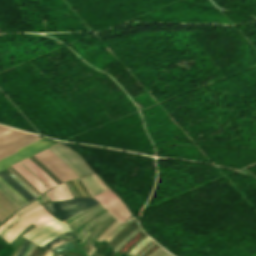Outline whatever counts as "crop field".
<instances>
[{
    "label": "crop field",
    "instance_id": "obj_10",
    "mask_svg": "<svg viewBox=\"0 0 256 256\" xmlns=\"http://www.w3.org/2000/svg\"><path fill=\"white\" fill-rule=\"evenodd\" d=\"M108 210L121 222L130 218L131 215V212L122 201Z\"/></svg>",
    "mask_w": 256,
    "mask_h": 256
},
{
    "label": "crop field",
    "instance_id": "obj_19",
    "mask_svg": "<svg viewBox=\"0 0 256 256\" xmlns=\"http://www.w3.org/2000/svg\"><path fill=\"white\" fill-rule=\"evenodd\" d=\"M39 203H40L39 200H37V201H35V202L31 203V204H28V205L22 207L21 209H19V210H18L17 212H15L14 214H15V215H20L21 213L25 212L26 210L30 209L31 207H33V206H35V205H37V204H39Z\"/></svg>",
    "mask_w": 256,
    "mask_h": 256
},
{
    "label": "crop field",
    "instance_id": "obj_48",
    "mask_svg": "<svg viewBox=\"0 0 256 256\" xmlns=\"http://www.w3.org/2000/svg\"><path fill=\"white\" fill-rule=\"evenodd\" d=\"M49 252V251H48ZM48 254V253H47Z\"/></svg>",
    "mask_w": 256,
    "mask_h": 256
},
{
    "label": "crop field",
    "instance_id": "obj_45",
    "mask_svg": "<svg viewBox=\"0 0 256 256\" xmlns=\"http://www.w3.org/2000/svg\"><path fill=\"white\" fill-rule=\"evenodd\" d=\"M87 234H88V232H87ZM87 234H86V235H87ZM86 235H85V236H86ZM84 238H85V237H84ZM84 238H83V240H84ZM83 240H82V242H83ZM82 242H81V244H82Z\"/></svg>",
    "mask_w": 256,
    "mask_h": 256
},
{
    "label": "crop field",
    "instance_id": "obj_23",
    "mask_svg": "<svg viewBox=\"0 0 256 256\" xmlns=\"http://www.w3.org/2000/svg\"><path fill=\"white\" fill-rule=\"evenodd\" d=\"M16 236L17 234L8 231L3 237L10 243Z\"/></svg>",
    "mask_w": 256,
    "mask_h": 256
},
{
    "label": "crop field",
    "instance_id": "obj_8",
    "mask_svg": "<svg viewBox=\"0 0 256 256\" xmlns=\"http://www.w3.org/2000/svg\"><path fill=\"white\" fill-rule=\"evenodd\" d=\"M0 177L2 179H4L8 184H10L15 190H17L28 201L35 198L32 194H30L24 187H22L13 177H11L4 170H2L0 172Z\"/></svg>",
    "mask_w": 256,
    "mask_h": 256
},
{
    "label": "crop field",
    "instance_id": "obj_26",
    "mask_svg": "<svg viewBox=\"0 0 256 256\" xmlns=\"http://www.w3.org/2000/svg\"><path fill=\"white\" fill-rule=\"evenodd\" d=\"M61 187L63 188V190H64V192H65V194H66L68 199L69 198H73L72 195L70 194L69 190L67 189L65 183L61 184Z\"/></svg>",
    "mask_w": 256,
    "mask_h": 256
},
{
    "label": "crop field",
    "instance_id": "obj_21",
    "mask_svg": "<svg viewBox=\"0 0 256 256\" xmlns=\"http://www.w3.org/2000/svg\"><path fill=\"white\" fill-rule=\"evenodd\" d=\"M114 217H110L108 220H106L104 223H102L97 229H95L92 233V238L96 236V234L108 223L110 222Z\"/></svg>",
    "mask_w": 256,
    "mask_h": 256
},
{
    "label": "crop field",
    "instance_id": "obj_34",
    "mask_svg": "<svg viewBox=\"0 0 256 256\" xmlns=\"http://www.w3.org/2000/svg\"><path fill=\"white\" fill-rule=\"evenodd\" d=\"M32 246H33V243L30 244V246L27 248V250L24 252L22 256H25Z\"/></svg>",
    "mask_w": 256,
    "mask_h": 256
},
{
    "label": "crop field",
    "instance_id": "obj_6",
    "mask_svg": "<svg viewBox=\"0 0 256 256\" xmlns=\"http://www.w3.org/2000/svg\"><path fill=\"white\" fill-rule=\"evenodd\" d=\"M20 217L23 219L18 222L10 231L19 234L22 232L28 225L35 224L37 226H42L44 223L54 218L51 214H49L42 205L34 207Z\"/></svg>",
    "mask_w": 256,
    "mask_h": 256
},
{
    "label": "crop field",
    "instance_id": "obj_37",
    "mask_svg": "<svg viewBox=\"0 0 256 256\" xmlns=\"http://www.w3.org/2000/svg\"><path fill=\"white\" fill-rule=\"evenodd\" d=\"M6 232H7V230L3 229V230L0 232V235L3 236Z\"/></svg>",
    "mask_w": 256,
    "mask_h": 256
},
{
    "label": "crop field",
    "instance_id": "obj_40",
    "mask_svg": "<svg viewBox=\"0 0 256 256\" xmlns=\"http://www.w3.org/2000/svg\"><path fill=\"white\" fill-rule=\"evenodd\" d=\"M116 221H117V220H116ZM116 221H115V222H116ZM115 222H114V223H115ZM114 223H113V224H114ZM113 224H112V225H113ZM112 225H111V226H112ZM111 226H110V227H111ZM110 227H109V228H110ZM109 228H108V229H109ZM108 229H107V230H108ZM107 230H106V231H107ZM106 231H105V232H106ZM105 232H104V233H105ZM104 233H103V234H104ZM103 234H102V235H103ZM102 235L98 238V240L102 237Z\"/></svg>",
    "mask_w": 256,
    "mask_h": 256
},
{
    "label": "crop field",
    "instance_id": "obj_2",
    "mask_svg": "<svg viewBox=\"0 0 256 256\" xmlns=\"http://www.w3.org/2000/svg\"><path fill=\"white\" fill-rule=\"evenodd\" d=\"M99 204L93 198H75L62 202H54L45 204L44 206L56 217L61 220H66L82 211H85Z\"/></svg>",
    "mask_w": 256,
    "mask_h": 256
},
{
    "label": "crop field",
    "instance_id": "obj_30",
    "mask_svg": "<svg viewBox=\"0 0 256 256\" xmlns=\"http://www.w3.org/2000/svg\"><path fill=\"white\" fill-rule=\"evenodd\" d=\"M41 201H42V203H45V202H49L50 200H49V198L46 196V194L45 195H43L42 197H41Z\"/></svg>",
    "mask_w": 256,
    "mask_h": 256
},
{
    "label": "crop field",
    "instance_id": "obj_22",
    "mask_svg": "<svg viewBox=\"0 0 256 256\" xmlns=\"http://www.w3.org/2000/svg\"><path fill=\"white\" fill-rule=\"evenodd\" d=\"M161 248V247H160ZM159 248V249H160ZM159 249H157V250H159ZM156 250V251H157ZM155 251V252H156ZM155 252H153L150 256H152ZM153 256H171V255H169L165 250H163L162 248L159 250V251H157Z\"/></svg>",
    "mask_w": 256,
    "mask_h": 256
},
{
    "label": "crop field",
    "instance_id": "obj_5",
    "mask_svg": "<svg viewBox=\"0 0 256 256\" xmlns=\"http://www.w3.org/2000/svg\"><path fill=\"white\" fill-rule=\"evenodd\" d=\"M33 156L49 168L62 182L78 177L57 156L47 149Z\"/></svg>",
    "mask_w": 256,
    "mask_h": 256
},
{
    "label": "crop field",
    "instance_id": "obj_17",
    "mask_svg": "<svg viewBox=\"0 0 256 256\" xmlns=\"http://www.w3.org/2000/svg\"><path fill=\"white\" fill-rule=\"evenodd\" d=\"M100 207H102V205L99 206V207H97V208H95L94 210H96V209H98V208H100ZM103 208H104V207H103ZM101 209H102V208H101ZM104 209H105V208H104ZM94 210H92V211H94ZM99 210H100V209H99ZM102 210H103V209H102ZM102 210H100V211L97 210L98 212L95 211V212H93V213H91L92 211H90L89 213H87V214L81 216L80 218H78V219H76V220H74V221H72V222H70V223H68V224H69L70 226H72V225H73L75 222H77L79 219H81V218H83V217L89 215L90 213H91V214H90L89 216H91V215H93L94 213L97 212L96 214H94V216H95V215H97L99 212H101ZM89 216H87V217H89ZM87 217H85V218H87ZM92 217H93V216H92ZM92 217H90V218H92ZM85 218H84V219H85ZM90 218H88V219H90ZM84 219H82V220H84ZM88 219H86L85 221H87ZM82 220H81V221H82ZM81 221H79V222H77L76 224H74L71 228L73 229V228H74L77 224H79ZM85 221H83V222H85ZM83 222H82V223H83ZM82 223H80L76 228H74L73 231H74L75 229H77Z\"/></svg>",
    "mask_w": 256,
    "mask_h": 256
},
{
    "label": "crop field",
    "instance_id": "obj_38",
    "mask_svg": "<svg viewBox=\"0 0 256 256\" xmlns=\"http://www.w3.org/2000/svg\"><path fill=\"white\" fill-rule=\"evenodd\" d=\"M34 247H35V244H34V246L32 247V249L29 251V253H28L26 256H29V255H30V253L32 252V250L34 249Z\"/></svg>",
    "mask_w": 256,
    "mask_h": 256
},
{
    "label": "crop field",
    "instance_id": "obj_18",
    "mask_svg": "<svg viewBox=\"0 0 256 256\" xmlns=\"http://www.w3.org/2000/svg\"><path fill=\"white\" fill-rule=\"evenodd\" d=\"M109 215H111V214L107 211V212H105L104 214H102V215H100L99 217H97L96 219H94L93 221H91L90 223H92V222H94V221H95L94 223H96V222H98V221L101 222V221H103L105 218H107ZM90 223H88V224H90ZM94 223H92L89 227H87L81 235H80V233H81V231H82L83 229L77 234L79 240H80V238L84 235L85 231H86L88 228H90ZM88 224H87V225H88ZM87 225H85V226H87ZM85 226H84V227H85Z\"/></svg>",
    "mask_w": 256,
    "mask_h": 256
},
{
    "label": "crop field",
    "instance_id": "obj_43",
    "mask_svg": "<svg viewBox=\"0 0 256 256\" xmlns=\"http://www.w3.org/2000/svg\"><path fill=\"white\" fill-rule=\"evenodd\" d=\"M51 253H52V252L50 251V253H49L47 256H50V255H51Z\"/></svg>",
    "mask_w": 256,
    "mask_h": 256
},
{
    "label": "crop field",
    "instance_id": "obj_4",
    "mask_svg": "<svg viewBox=\"0 0 256 256\" xmlns=\"http://www.w3.org/2000/svg\"><path fill=\"white\" fill-rule=\"evenodd\" d=\"M54 144H56V142H52L47 139L41 138L25 147L19 149L18 150L19 152L0 160V170L10 166L11 164H14V163L20 161L23 158L29 157L30 155H32L40 150H43L48 146L54 145ZM0 180L5 185H7L13 192H15L21 199H23L25 202H27V200H25L18 192H16L6 182H4L1 178H0Z\"/></svg>",
    "mask_w": 256,
    "mask_h": 256
},
{
    "label": "crop field",
    "instance_id": "obj_15",
    "mask_svg": "<svg viewBox=\"0 0 256 256\" xmlns=\"http://www.w3.org/2000/svg\"><path fill=\"white\" fill-rule=\"evenodd\" d=\"M51 201L66 199L60 185L46 192Z\"/></svg>",
    "mask_w": 256,
    "mask_h": 256
},
{
    "label": "crop field",
    "instance_id": "obj_32",
    "mask_svg": "<svg viewBox=\"0 0 256 256\" xmlns=\"http://www.w3.org/2000/svg\"><path fill=\"white\" fill-rule=\"evenodd\" d=\"M0 194L3 195L11 204H13L17 208V206L5 194H3L1 191Z\"/></svg>",
    "mask_w": 256,
    "mask_h": 256
},
{
    "label": "crop field",
    "instance_id": "obj_16",
    "mask_svg": "<svg viewBox=\"0 0 256 256\" xmlns=\"http://www.w3.org/2000/svg\"><path fill=\"white\" fill-rule=\"evenodd\" d=\"M69 233H71V232H68V233H65V234H63V235H66V234H69ZM72 234V233H71ZM63 235H60V236H58V237H56V238H54L53 240H51V241H49L48 243H46L43 247H47V248H52L53 246H55V245H57V244H59V243H61V242H64V241H66V240H68V239H71V238H74V236H73V234H72V236H69V237H66V238H63V237H65V236H63ZM70 235V234H69ZM61 236H63V237H61ZM66 236H68V235H66ZM63 238V239H61V238Z\"/></svg>",
    "mask_w": 256,
    "mask_h": 256
},
{
    "label": "crop field",
    "instance_id": "obj_41",
    "mask_svg": "<svg viewBox=\"0 0 256 256\" xmlns=\"http://www.w3.org/2000/svg\"><path fill=\"white\" fill-rule=\"evenodd\" d=\"M94 250H95V249L92 248V250L89 252L88 255L90 256Z\"/></svg>",
    "mask_w": 256,
    "mask_h": 256
},
{
    "label": "crop field",
    "instance_id": "obj_35",
    "mask_svg": "<svg viewBox=\"0 0 256 256\" xmlns=\"http://www.w3.org/2000/svg\"><path fill=\"white\" fill-rule=\"evenodd\" d=\"M77 238H75V239H71V240H68V241H66V242H64V243H67V242H70V241H73V240H76ZM61 244H63V243H61ZM61 244H59V245H61ZM59 245H57V246H59ZM57 246H55L54 248H56ZM54 248H52V249H54ZM51 249V250H52Z\"/></svg>",
    "mask_w": 256,
    "mask_h": 256
},
{
    "label": "crop field",
    "instance_id": "obj_9",
    "mask_svg": "<svg viewBox=\"0 0 256 256\" xmlns=\"http://www.w3.org/2000/svg\"><path fill=\"white\" fill-rule=\"evenodd\" d=\"M12 167L15 170H17L27 181H29L41 193L47 189L29 171H27L25 168H23L18 163L12 165Z\"/></svg>",
    "mask_w": 256,
    "mask_h": 256
},
{
    "label": "crop field",
    "instance_id": "obj_24",
    "mask_svg": "<svg viewBox=\"0 0 256 256\" xmlns=\"http://www.w3.org/2000/svg\"><path fill=\"white\" fill-rule=\"evenodd\" d=\"M29 244H30V242L26 240V242L24 243V245L22 246L20 251L15 256H21Z\"/></svg>",
    "mask_w": 256,
    "mask_h": 256
},
{
    "label": "crop field",
    "instance_id": "obj_20",
    "mask_svg": "<svg viewBox=\"0 0 256 256\" xmlns=\"http://www.w3.org/2000/svg\"><path fill=\"white\" fill-rule=\"evenodd\" d=\"M136 230H137V232H138V231L141 230V228L139 227V228H137ZM134 231H135V230H134ZM134 231H132L131 233H133ZM137 232L135 231L133 234L130 233L131 235H129L126 239L124 238L125 241L129 240V239H130L134 234H136ZM124 239H123V240H124ZM123 240H122V241H123ZM122 241H121V242H122ZM125 241H123L122 243L120 242L121 244L119 243L120 245L118 244L119 246L117 245L118 247L116 246V247H117V248L115 247L116 249L113 248V249H115V250H114V253H116V252L120 249V247L125 243Z\"/></svg>",
    "mask_w": 256,
    "mask_h": 256
},
{
    "label": "crop field",
    "instance_id": "obj_3",
    "mask_svg": "<svg viewBox=\"0 0 256 256\" xmlns=\"http://www.w3.org/2000/svg\"><path fill=\"white\" fill-rule=\"evenodd\" d=\"M68 231L70 229L67 225L54 218L40 228L36 226L23 236L42 246L50 239Z\"/></svg>",
    "mask_w": 256,
    "mask_h": 256
},
{
    "label": "crop field",
    "instance_id": "obj_12",
    "mask_svg": "<svg viewBox=\"0 0 256 256\" xmlns=\"http://www.w3.org/2000/svg\"><path fill=\"white\" fill-rule=\"evenodd\" d=\"M82 180L86 184L87 188L89 189L93 197L104 192L101 186L94 180V178L91 175L83 177Z\"/></svg>",
    "mask_w": 256,
    "mask_h": 256
},
{
    "label": "crop field",
    "instance_id": "obj_14",
    "mask_svg": "<svg viewBox=\"0 0 256 256\" xmlns=\"http://www.w3.org/2000/svg\"><path fill=\"white\" fill-rule=\"evenodd\" d=\"M98 201H100L103 205L110 202L111 200L117 198V196L112 192V190H108L105 193L95 197ZM119 198V197H118ZM120 199V198H119ZM121 201V199L119 200ZM119 201L113 203L112 205L106 207L107 209L110 208L111 206L115 205L116 203H118Z\"/></svg>",
    "mask_w": 256,
    "mask_h": 256
},
{
    "label": "crop field",
    "instance_id": "obj_46",
    "mask_svg": "<svg viewBox=\"0 0 256 256\" xmlns=\"http://www.w3.org/2000/svg\"><path fill=\"white\" fill-rule=\"evenodd\" d=\"M53 256H56L55 254ZM58 256V255H57Z\"/></svg>",
    "mask_w": 256,
    "mask_h": 256
},
{
    "label": "crop field",
    "instance_id": "obj_42",
    "mask_svg": "<svg viewBox=\"0 0 256 256\" xmlns=\"http://www.w3.org/2000/svg\"><path fill=\"white\" fill-rule=\"evenodd\" d=\"M154 243H155V242H154ZM154 243H153V244H154ZM153 244H151L149 247H151ZM149 247H148V248H149ZM148 248H146L145 250H147ZM145 250H144V251H145ZM144 251H143V252H144ZM143 252H142V253H143ZM142 253H141V254H142ZM141 254H140V255H141ZM140 255H139V256H140Z\"/></svg>",
    "mask_w": 256,
    "mask_h": 256
},
{
    "label": "crop field",
    "instance_id": "obj_31",
    "mask_svg": "<svg viewBox=\"0 0 256 256\" xmlns=\"http://www.w3.org/2000/svg\"><path fill=\"white\" fill-rule=\"evenodd\" d=\"M7 190H9L16 198H18L23 204H25L19 197H17L9 188H7L3 183L0 182Z\"/></svg>",
    "mask_w": 256,
    "mask_h": 256
},
{
    "label": "crop field",
    "instance_id": "obj_13",
    "mask_svg": "<svg viewBox=\"0 0 256 256\" xmlns=\"http://www.w3.org/2000/svg\"><path fill=\"white\" fill-rule=\"evenodd\" d=\"M14 209L16 208L0 195V220L10 214Z\"/></svg>",
    "mask_w": 256,
    "mask_h": 256
},
{
    "label": "crop field",
    "instance_id": "obj_1",
    "mask_svg": "<svg viewBox=\"0 0 256 256\" xmlns=\"http://www.w3.org/2000/svg\"><path fill=\"white\" fill-rule=\"evenodd\" d=\"M40 137L0 125V159Z\"/></svg>",
    "mask_w": 256,
    "mask_h": 256
},
{
    "label": "crop field",
    "instance_id": "obj_27",
    "mask_svg": "<svg viewBox=\"0 0 256 256\" xmlns=\"http://www.w3.org/2000/svg\"><path fill=\"white\" fill-rule=\"evenodd\" d=\"M117 223H118V221L114 224V226H115ZM118 225H120V223H118L115 227L113 226L114 228L112 227L113 229L111 228L112 230L110 229L111 231L109 230L110 232L107 231V233L109 232V234H110ZM107 235H108V234L105 233V234L103 235V237H102L99 241L102 242V241L107 237Z\"/></svg>",
    "mask_w": 256,
    "mask_h": 256
},
{
    "label": "crop field",
    "instance_id": "obj_29",
    "mask_svg": "<svg viewBox=\"0 0 256 256\" xmlns=\"http://www.w3.org/2000/svg\"><path fill=\"white\" fill-rule=\"evenodd\" d=\"M37 163H39L44 169H46L54 178H56L42 163H40L36 158L31 156ZM57 179V178H56ZM60 183H62L59 179H57Z\"/></svg>",
    "mask_w": 256,
    "mask_h": 256
},
{
    "label": "crop field",
    "instance_id": "obj_11",
    "mask_svg": "<svg viewBox=\"0 0 256 256\" xmlns=\"http://www.w3.org/2000/svg\"><path fill=\"white\" fill-rule=\"evenodd\" d=\"M22 162L27 165L35 174H37L49 187L56 185L53 180H51L40 168H38L28 158L22 160Z\"/></svg>",
    "mask_w": 256,
    "mask_h": 256
},
{
    "label": "crop field",
    "instance_id": "obj_39",
    "mask_svg": "<svg viewBox=\"0 0 256 256\" xmlns=\"http://www.w3.org/2000/svg\"><path fill=\"white\" fill-rule=\"evenodd\" d=\"M151 241H152V240H151ZM151 241H150V242H151ZM148 243H149V242H148ZM148 243H147V244H148ZM147 244H146V245H147ZM146 245H145V246H146ZM145 246H144V247H145ZM144 247H143V248H144ZM143 248H141L139 251H141ZM139 251H138V252H139ZM138 252H137V253H138ZM137 253H136V254H134L133 256H136V255H137Z\"/></svg>",
    "mask_w": 256,
    "mask_h": 256
},
{
    "label": "crop field",
    "instance_id": "obj_28",
    "mask_svg": "<svg viewBox=\"0 0 256 256\" xmlns=\"http://www.w3.org/2000/svg\"><path fill=\"white\" fill-rule=\"evenodd\" d=\"M50 149L54 154H56L63 162H65L79 177H81V175L79 173H77L64 159H62L55 151H53L51 148Z\"/></svg>",
    "mask_w": 256,
    "mask_h": 256
},
{
    "label": "crop field",
    "instance_id": "obj_36",
    "mask_svg": "<svg viewBox=\"0 0 256 256\" xmlns=\"http://www.w3.org/2000/svg\"><path fill=\"white\" fill-rule=\"evenodd\" d=\"M9 171H10V170H9ZM11 171H12V170H11ZM11 171H10V172H11ZM12 172H13V171H12ZM12 172H11V173H12ZM13 173H14V172H13ZM13 173H12V174H13ZM14 174H15V173H14ZM15 175H16V174H15ZM16 177H17V176H16ZM17 178H18V177H17ZM18 179H19V178H18ZM19 180H20V179H19ZM21 180H22V179H21ZM21 180H20V181H21ZM22 181H23V180H22ZM22 181H21V182H22ZM22 183H24V182H22ZM24 184H25V183H24ZM26 184H27V183H26ZM26 184H25V185H26ZM27 185H28V184H27ZM27 185H26V186H27ZM28 187H29V186H28ZM29 188H30V187H29ZM32 190H33V189H32ZM33 191H34V190H33ZM34 192H35V191H34ZM35 194H36V193H35ZM36 195H37V194H36ZM37 196H38V195H37Z\"/></svg>",
    "mask_w": 256,
    "mask_h": 256
},
{
    "label": "crop field",
    "instance_id": "obj_33",
    "mask_svg": "<svg viewBox=\"0 0 256 256\" xmlns=\"http://www.w3.org/2000/svg\"><path fill=\"white\" fill-rule=\"evenodd\" d=\"M3 187V186H2ZM0 189L5 192L1 187ZM9 192V191H8ZM9 197H11L7 192H5ZM10 193V192H9ZM15 202H17L13 197H11ZM18 200V199H17ZM19 205H21L19 202H17ZM16 204V203H15ZM17 205V204H16ZM18 206V205H17Z\"/></svg>",
    "mask_w": 256,
    "mask_h": 256
},
{
    "label": "crop field",
    "instance_id": "obj_7",
    "mask_svg": "<svg viewBox=\"0 0 256 256\" xmlns=\"http://www.w3.org/2000/svg\"><path fill=\"white\" fill-rule=\"evenodd\" d=\"M51 148L72 165L82 176L94 173L90 166L70 148L60 143Z\"/></svg>",
    "mask_w": 256,
    "mask_h": 256
},
{
    "label": "crop field",
    "instance_id": "obj_25",
    "mask_svg": "<svg viewBox=\"0 0 256 256\" xmlns=\"http://www.w3.org/2000/svg\"><path fill=\"white\" fill-rule=\"evenodd\" d=\"M20 220H21V218L17 217L12 222H10L6 227H4V228L9 230L11 227H13Z\"/></svg>",
    "mask_w": 256,
    "mask_h": 256
},
{
    "label": "crop field",
    "instance_id": "obj_47",
    "mask_svg": "<svg viewBox=\"0 0 256 256\" xmlns=\"http://www.w3.org/2000/svg\"><path fill=\"white\" fill-rule=\"evenodd\" d=\"M53 254V253H52ZM52 256V255H51Z\"/></svg>",
    "mask_w": 256,
    "mask_h": 256
},
{
    "label": "crop field",
    "instance_id": "obj_44",
    "mask_svg": "<svg viewBox=\"0 0 256 256\" xmlns=\"http://www.w3.org/2000/svg\"><path fill=\"white\" fill-rule=\"evenodd\" d=\"M46 252H47V249H46V251L44 252V254L42 256H44Z\"/></svg>",
    "mask_w": 256,
    "mask_h": 256
}]
</instances>
